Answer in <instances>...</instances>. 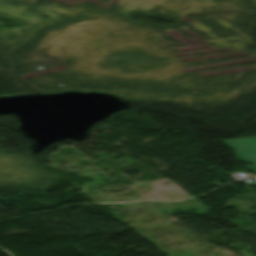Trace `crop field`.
<instances>
[{"mask_svg": "<svg viewBox=\"0 0 256 256\" xmlns=\"http://www.w3.org/2000/svg\"><path fill=\"white\" fill-rule=\"evenodd\" d=\"M221 142H224L225 145L236 146L237 150H240L236 157L253 163L254 165H251L248 168L256 171V137L236 140H221Z\"/></svg>", "mask_w": 256, "mask_h": 256, "instance_id": "crop-field-1", "label": "crop field"}]
</instances>
